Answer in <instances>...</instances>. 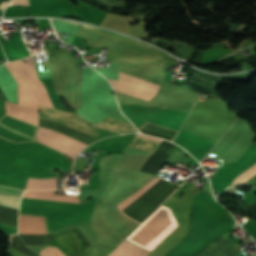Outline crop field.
I'll list each match as a JSON object with an SVG mask.
<instances>
[{
  "label": "crop field",
  "mask_w": 256,
  "mask_h": 256,
  "mask_svg": "<svg viewBox=\"0 0 256 256\" xmlns=\"http://www.w3.org/2000/svg\"><path fill=\"white\" fill-rule=\"evenodd\" d=\"M254 175H256V163L253 164L249 169H247L244 173H242L240 176H238L235 181L230 186H240L244 182L248 181L250 178H252Z\"/></svg>",
  "instance_id": "obj_15"
},
{
  "label": "crop field",
  "mask_w": 256,
  "mask_h": 256,
  "mask_svg": "<svg viewBox=\"0 0 256 256\" xmlns=\"http://www.w3.org/2000/svg\"><path fill=\"white\" fill-rule=\"evenodd\" d=\"M119 79L131 82V83L139 84V85H142V86H146V87H149V88L157 89V90H159V88H160V85H158V84H155L153 82L147 81V80L142 79L140 77L133 76V75L123 73V72H120V71H119Z\"/></svg>",
  "instance_id": "obj_14"
},
{
  "label": "crop field",
  "mask_w": 256,
  "mask_h": 256,
  "mask_svg": "<svg viewBox=\"0 0 256 256\" xmlns=\"http://www.w3.org/2000/svg\"><path fill=\"white\" fill-rule=\"evenodd\" d=\"M35 78L36 70L32 57L23 58ZM22 59L5 64L18 83L19 105L6 101V113L37 126V104L53 107L46 86L35 79ZM54 108V107H53Z\"/></svg>",
  "instance_id": "obj_1"
},
{
  "label": "crop field",
  "mask_w": 256,
  "mask_h": 256,
  "mask_svg": "<svg viewBox=\"0 0 256 256\" xmlns=\"http://www.w3.org/2000/svg\"><path fill=\"white\" fill-rule=\"evenodd\" d=\"M96 125L102 128H106V129H110V130H114L122 133L136 132L133 125L124 123L115 119H111L108 117L104 118L103 120L98 122Z\"/></svg>",
  "instance_id": "obj_11"
},
{
  "label": "crop field",
  "mask_w": 256,
  "mask_h": 256,
  "mask_svg": "<svg viewBox=\"0 0 256 256\" xmlns=\"http://www.w3.org/2000/svg\"><path fill=\"white\" fill-rule=\"evenodd\" d=\"M14 1V0H11V2Z\"/></svg>",
  "instance_id": "obj_17"
},
{
  "label": "crop field",
  "mask_w": 256,
  "mask_h": 256,
  "mask_svg": "<svg viewBox=\"0 0 256 256\" xmlns=\"http://www.w3.org/2000/svg\"><path fill=\"white\" fill-rule=\"evenodd\" d=\"M36 129V126L7 114L0 118V136L15 143L36 141Z\"/></svg>",
  "instance_id": "obj_3"
},
{
  "label": "crop field",
  "mask_w": 256,
  "mask_h": 256,
  "mask_svg": "<svg viewBox=\"0 0 256 256\" xmlns=\"http://www.w3.org/2000/svg\"><path fill=\"white\" fill-rule=\"evenodd\" d=\"M23 191L24 190L0 186V205L18 209Z\"/></svg>",
  "instance_id": "obj_8"
},
{
  "label": "crop field",
  "mask_w": 256,
  "mask_h": 256,
  "mask_svg": "<svg viewBox=\"0 0 256 256\" xmlns=\"http://www.w3.org/2000/svg\"><path fill=\"white\" fill-rule=\"evenodd\" d=\"M37 139L40 142L70 156L71 158H74L87 146V144L66 135L40 127L38 129Z\"/></svg>",
  "instance_id": "obj_2"
},
{
  "label": "crop field",
  "mask_w": 256,
  "mask_h": 256,
  "mask_svg": "<svg viewBox=\"0 0 256 256\" xmlns=\"http://www.w3.org/2000/svg\"><path fill=\"white\" fill-rule=\"evenodd\" d=\"M110 82L114 87L115 91L117 92L125 93L147 100L151 99L157 93V90L149 89L120 80H110Z\"/></svg>",
  "instance_id": "obj_5"
},
{
  "label": "crop field",
  "mask_w": 256,
  "mask_h": 256,
  "mask_svg": "<svg viewBox=\"0 0 256 256\" xmlns=\"http://www.w3.org/2000/svg\"><path fill=\"white\" fill-rule=\"evenodd\" d=\"M160 178L155 177L149 183H147L144 187H142L139 191L135 194L130 196L129 198L125 199L121 203H119L117 208L122 213V215L131 207L133 206L151 187H153ZM134 220V219H133ZM136 221V220H135ZM138 222V221H137ZM140 223V222H139Z\"/></svg>",
  "instance_id": "obj_9"
},
{
  "label": "crop field",
  "mask_w": 256,
  "mask_h": 256,
  "mask_svg": "<svg viewBox=\"0 0 256 256\" xmlns=\"http://www.w3.org/2000/svg\"><path fill=\"white\" fill-rule=\"evenodd\" d=\"M186 116L187 114L182 112L161 110L155 112L152 118L155 119L153 123L178 130Z\"/></svg>",
  "instance_id": "obj_6"
},
{
  "label": "crop field",
  "mask_w": 256,
  "mask_h": 256,
  "mask_svg": "<svg viewBox=\"0 0 256 256\" xmlns=\"http://www.w3.org/2000/svg\"><path fill=\"white\" fill-rule=\"evenodd\" d=\"M137 136L142 137V138H146V139H150V140H154V141H158V142L161 141L159 139H155V138H151V137H147V136H143V135H139V134H137ZM157 145H158L157 142H153V141H149V140H145V139L135 137V139L133 140V142L130 144L129 147L135 148V149H140V150H145V151H149V152H153V150L155 149V147Z\"/></svg>",
  "instance_id": "obj_12"
},
{
  "label": "crop field",
  "mask_w": 256,
  "mask_h": 256,
  "mask_svg": "<svg viewBox=\"0 0 256 256\" xmlns=\"http://www.w3.org/2000/svg\"><path fill=\"white\" fill-rule=\"evenodd\" d=\"M12 5H30L28 0H17Z\"/></svg>",
  "instance_id": "obj_16"
},
{
  "label": "crop field",
  "mask_w": 256,
  "mask_h": 256,
  "mask_svg": "<svg viewBox=\"0 0 256 256\" xmlns=\"http://www.w3.org/2000/svg\"><path fill=\"white\" fill-rule=\"evenodd\" d=\"M148 254L149 252L124 240L109 256H148Z\"/></svg>",
  "instance_id": "obj_10"
},
{
  "label": "crop field",
  "mask_w": 256,
  "mask_h": 256,
  "mask_svg": "<svg viewBox=\"0 0 256 256\" xmlns=\"http://www.w3.org/2000/svg\"><path fill=\"white\" fill-rule=\"evenodd\" d=\"M39 110L41 113H39L40 118L42 119H48V120H53L58 123L64 124L66 126L72 127L74 129L83 131L85 133L91 134L95 137L100 133L102 130L101 128L98 127H90L87 126L81 122H78L71 117L72 113L67 112V111H62L58 109H52L44 106L38 105Z\"/></svg>",
  "instance_id": "obj_4"
},
{
  "label": "crop field",
  "mask_w": 256,
  "mask_h": 256,
  "mask_svg": "<svg viewBox=\"0 0 256 256\" xmlns=\"http://www.w3.org/2000/svg\"><path fill=\"white\" fill-rule=\"evenodd\" d=\"M23 197L27 198H36V199H45V200H54V201H63V202H72L80 203L78 196L71 195H54L53 190L49 191H26Z\"/></svg>",
  "instance_id": "obj_7"
},
{
  "label": "crop field",
  "mask_w": 256,
  "mask_h": 256,
  "mask_svg": "<svg viewBox=\"0 0 256 256\" xmlns=\"http://www.w3.org/2000/svg\"><path fill=\"white\" fill-rule=\"evenodd\" d=\"M49 188H57L56 178H51V179L29 178L26 189H49Z\"/></svg>",
  "instance_id": "obj_13"
}]
</instances>
